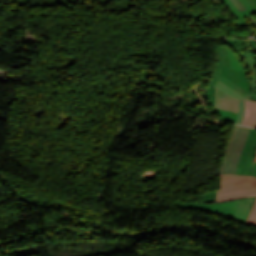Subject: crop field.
Returning a JSON list of instances; mask_svg holds the SVG:
<instances>
[{
	"mask_svg": "<svg viewBox=\"0 0 256 256\" xmlns=\"http://www.w3.org/2000/svg\"><path fill=\"white\" fill-rule=\"evenodd\" d=\"M246 17L256 26V20L254 18H252L250 15Z\"/></svg>",
	"mask_w": 256,
	"mask_h": 256,
	"instance_id": "obj_15",
	"label": "crop field"
},
{
	"mask_svg": "<svg viewBox=\"0 0 256 256\" xmlns=\"http://www.w3.org/2000/svg\"><path fill=\"white\" fill-rule=\"evenodd\" d=\"M254 160L256 161V154H255Z\"/></svg>",
	"mask_w": 256,
	"mask_h": 256,
	"instance_id": "obj_17",
	"label": "crop field"
},
{
	"mask_svg": "<svg viewBox=\"0 0 256 256\" xmlns=\"http://www.w3.org/2000/svg\"><path fill=\"white\" fill-rule=\"evenodd\" d=\"M255 152L256 130L251 128L243 154L237 165V175H253L251 165Z\"/></svg>",
	"mask_w": 256,
	"mask_h": 256,
	"instance_id": "obj_6",
	"label": "crop field"
},
{
	"mask_svg": "<svg viewBox=\"0 0 256 256\" xmlns=\"http://www.w3.org/2000/svg\"><path fill=\"white\" fill-rule=\"evenodd\" d=\"M35 254H39V252L36 248L16 250L13 252L14 256H26V255H35Z\"/></svg>",
	"mask_w": 256,
	"mask_h": 256,
	"instance_id": "obj_10",
	"label": "crop field"
},
{
	"mask_svg": "<svg viewBox=\"0 0 256 256\" xmlns=\"http://www.w3.org/2000/svg\"><path fill=\"white\" fill-rule=\"evenodd\" d=\"M244 115V100L239 99V113L235 123L240 124Z\"/></svg>",
	"mask_w": 256,
	"mask_h": 256,
	"instance_id": "obj_13",
	"label": "crop field"
},
{
	"mask_svg": "<svg viewBox=\"0 0 256 256\" xmlns=\"http://www.w3.org/2000/svg\"><path fill=\"white\" fill-rule=\"evenodd\" d=\"M256 195L255 176L220 175L216 202Z\"/></svg>",
	"mask_w": 256,
	"mask_h": 256,
	"instance_id": "obj_2",
	"label": "crop field"
},
{
	"mask_svg": "<svg viewBox=\"0 0 256 256\" xmlns=\"http://www.w3.org/2000/svg\"><path fill=\"white\" fill-rule=\"evenodd\" d=\"M252 169H253L254 175L256 176V162L255 161L253 162Z\"/></svg>",
	"mask_w": 256,
	"mask_h": 256,
	"instance_id": "obj_16",
	"label": "crop field"
},
{
	"mask_svg": "<svg viewBox=\"0 0 256 256\" xmlns=\"http://www.w3.org/2000/svg\"><path fill=\"white\" fill-rule=\"evenodd\" d=\"M249 129L233 125L223 154L220 174L236 175V164L242 154Z\"/></svg>",
	"mask_w": 256,
	"mask_h": 256,
	"instance_id": "obj_3",
	"label": "crop field"
},
{
	"mask_svg": "<svg viewBox=\"0 0 256 256\" xmlns=\"http://www.w3.org/2000/svg\"><path fill=\"white\" fill-rule=\"evenodd\" d=\"M239 201L240 200L225 202V203H218V204L188 203V204L177 205V207L180 210L195 208V209H199V210L206 211L209 213L221 215V216L231 219Z\"/></svg>",
	"mask_w": 256,
	"mask_h": 256,
	"instance_id": "obj_5",
	"label": "crop field"
},
{
	"mask_svg": "<svg viewBox=\"0 0 256 256\" xmlns=\"http://www.w3.org/2000/svg\"><path fill=\"white\" fill-rule=\"evenodd\" d=\"M252 52H256V51H252Z\"/></svg>",
	"mask_w": 256,
	"mask_h": 256,
	"instance_id": "obj_18",
	"label": "crop field"
},
{
	"mask_svg": "<svg viewBox=\"0 0 256 256\" xmlns=\"http://www.w3.org/2000/svg\"><path fill=\"white\" fill-rule=\"evenodd\" d=\"M219 64L206 92V97L220 120L235 122L238 98L250 100L249 81L236 55L225 45L217 46Z\"/></svg>",
	"mask_w": 256,
	"mask_h": 256,
	"instance_id": "obj_1",
	"label": "crop field"
},
{
	"mask_svg": "<svg viewBox=\"0 0 256 256\" xmlns=\"http://www.w3.org/2000/svg\"><path fill=\"white\" fill-rule=\"evenodd\" d=\"M246 224L256 226V200Z\"/></svg>",
	"mask_w": 256,
	"mask_h": 256,
	"instance_id": "obj_12",
	"label": "crop field"
},
{
	"mask_svg": "<svg viewBox=\"0 0 256 256\" xmlns=\"http://www.w3.org/2000/svg\"><path fill=\"white\" fill-rule=\"evenodd\" d=\"M242 124L256 128V102L245 100V115Z\"/></svg>",
	"mask_w": 256,
	"mask_h": 256,
	"instance_id": "obj_9",
	"label": "crop field"
},
{
	"mask_svg": "<svg viewBox=\"0 0 256 256\" xmlns=\"http://www.w3.org/2000/svg\"><path fill=\"white\" fill-rule=\"evenodd\" d=\"M225 42L236 50L238 55L244 61L251 75L248 77L250 81L251 100L256 101V62L253 54L242 39L225 40Z\"/></svg>",
	"mask_w": 256,
	"mask_h": 256,
	"instance_id": "obj_4",
	"label": "crop field"
},
{
	"mask_svg": "<svg viewBox=\"0 0 256 256\" xmlns=\"http://www.w3.org/2000/svg\"><path fill=\"white\" fill-rule=\"evenodd\" d=\"M232 2L235 4V6L238 8L239 11L245 10L243 5L238 0H232Z\"/></svg>",
	"mask_w": 256,
	"mask_h": 256,
	"instance_id": "obj_14",
	"label": "crop field"
},
{
	"mask_svg": "<svg viewBox=\"0 0 256 256\" xmlns=\"http://www.w3.org/2000/svg\"><path fill=\"white\" fill-rule=\"evenodd\" d=\"M244 7L247 9L245 11L239 12L237 8L234 6V4L231 2V0H224V2L227 4V6L230 8L232 14L236 17L238 20L236 24L247 25L246 22L242 23V21H245L243 16L248 14H253L256 12V0H239Z\"/></svg>",
	"mask_w": 256,
	"mask_h": 256,
	"instance_id": "obj_7",
	"label": "crop field"
},
{
	"mask_svg": "<svg viewBox=\"0 0 256 256\" xmlns=\"http://www.w3.org/2000/svg\"><path fill=\"white\" fill-rule=\"evenodd\" d=\"M216 193H217V189L213 190L211 192L205 193V194H201V201L202 202H215L216 199Z\"/></svg>",
	"mask_w": 256,
	"mask_h": 256,
	"instance_id": "obj_11",
	"label": "crop field"
},
{
	"mask_svg": "<svg viewBox=\"0 0 256 256\" xmlns=\"http://www.w3.org/2000/svg\"><path fill=\"white\" fill-rule=\"evenodd\" d=\"M254 200H255V197L241 199V201L232 217V220L245 224L247 221L248 215L251 211Z\"/></svg>",
	"mask_w": 256,
	"mask_h": 256,
	"instance_id": "obj_8",
	"label": "crop field"
}]
</instances>
